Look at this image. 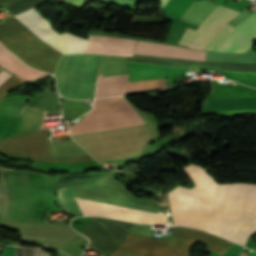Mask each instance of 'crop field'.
<instances>
[{
    "label": "crop field",
    "instance_id": "1",
    "mask_svg": "<svg viewBox=\"0 0 256 256\" xmlns=\"http://www.w3.org/2000/svg\"><path fill=\"white\" fill-rule=\"evenodd\" d=\"M15 17L59 53L85 52L88 40L68 33H55L50 23L33 8L15 15ZM15 17L13 16L0 24V42L33 68L53 74L61 54L46 45Z\"/></svg>",
    "mask_w": 256,
    "mask_h": 256
},
{
    "label": "crop field",
    "instance_id": "2",
    "mask_svg": "<svg viewBox=\"0 0 256 256\" xmlns=\"http://www.w3.org/2000/svg\"><path fill=\"white\" fill-rule=\"evenodd\" d=\"M85 53L132 56L136 41L114 37L88 35ZM102 55H64L57 71L58 91L71 99H91L94 96L96 72Z\"/></svg>",
    "mask_w": 256,
    "mask_h": 256
},
{
    "label": "crop field",
    "instance_id": "3",
    "mask_svg": "<svg viewBox=\"0 0 256 256\" xmlns=\"http://www.w3.org/2000/svg\"><path fill=\"white\" fill-rule=\"evenodd\" d=\"M183 168L196 186L194 189L188 190L179 184L167 195L173 200L187 201L180 208L170 211L173 224L210 232L218 185L199 166L190 164Z\"/></svg>",
    "mask_w": 256,
    "mask_h": 256
},
{
    "label": "crop field",
    "instance_id": "4",
    "mask_svg": "<svg viewBox=\"0 0 256 256\" xmlns=\"http://www.w3.org/2000/svg\"><path fill=\"white\" fill-rule=\"evenodd\" d=\"M198 240L221 255L232 245L203 231L172 227L167 240L124 239L109 256H190V249Z\"/></svg>",
    "mask_w": 256,
    "mask_h": 256
},
{
    "label": "crop field",
    "instance_id": "5",
    "mask_svg": "<svg viewBox=\"0 0 256 256\" xmlns=\"http://www.w3.org/2000/svg\"><path fill=\"white\" fill-rule=\"evenodd\" d=\"M256 232V186H228L220 236L245 245Z\"/></svg>",
    "mask_w": 256,
    "mask_h": 256
},
{
    "label": "crop field",
    "instance_id": "6",
    "mask_svg": "<svg viewBox=\"0 0 256 256\" xmlns=\"http://www.w3.org/2000/svg\"><path fill=\"white\" fill-rule=\"evenodd\" d=\"M0 153L18 160L76 162L93 160L90 156L51 158L50 144L44 130L0 139Z\"/></svg>",
    "mask_w": 256,
    "mask_h": 256
},
{
    "label": "crop field",
    "instance_id": "7",
    "mask_svg": "<svg viewBox=\"0 0 256 256\" xmlns=\"http://www.w3.org/2000/svg\"><path fill=\"white\" fill-rule=\"evenodd\" d=\"M83 215L117 218L139 223L165 224V216L133 208L75 198Z\"/></svg>",
    "mask_w": 256,
    "mask_h": 256
},
{
    "label": "crop field",
    "instance_id": "8",
    "mask_svg": "<svg viewBox=\"0 0 256 256\" xmlns=\"http://www.w3.org/2000/svg\"><path fill=\"white\" fill-rule=\"evenodd\" d=\"M239 12L218 5L209 17L194 31L186 28L179 44L192 49L202 50L205 42L225 23ZM207 43V42H206Z\"/></svg>",
    "mask_w": 256,
    "mask_h": 256
},
{
    "label": "crop field",
    "instance_id": "9",
    "mask_svg": "<svg viewBox=\"0 0 256 256\" xmlns=\"http://www.w3.org/2000/svg\"><path fill=\"white\" fill-rule=\"evenodd\" d=\"M256 41V12L225 36L213 51L244 52Z\"/></svg>",
    "mask_w": 256,
    "mask_h": 256
},
{
    "label": "crop field",
    "instance_id": "10",
    "mask_svg": "<svg viewBox=\"0 0 256 256\" xmlns=\"http://www.w3.org/2000/svg\"><path fill=\"white\" fill-rule=\"evenodd\" d=\"M134 54L204 61L205 52L166 44L138 41Z\"/></svg>",
    "mask_w": 256,
    "mask_h": 256
},
{
    "label": "crop field",
    "instance_id": "11",
    "mask_svg": "<svg viewBox=\"0 0 256 256\" xmlns=\"http://www.w3.org/2000/svg\"><path fill=\"white\" fill-rule=\"evenodd\" d=\"M0 65L5 69L13 72L26 82L44 75H48L25 66L10 52H8L2 45H0Z\"/></svg>",
    "mask_w": 256,
    "mask_h": 256
},
{
    "label": "crop field",
    "instance_id": "12",
    "mask_svg": "<svg viewBox=\"0 0 256 256\" xmlns=\"http://www.w3.org/2000/svg\"><path fill=\"white\" fill-rule=\"evenodd\" d=\"M128 74L98 78L95 98L125 93Z\"/></svg>",
    "mask_w": 256,
    "mask_h": 256
},
{
    "label": "crop field",
    "instance_id": "13",
    "mask_svg": "<svg viewBox=\"0 0 256 256\" xmlns=\"http://www.w3.org/2000/svg\"><path fill=\"white\" fill-rule=\"evenodd\" d=\"M256 108V99L251 98H226L206 99L202 110H223V109H250Z\"/></svg>",
    "mask_w": 256,
    "mask_h": 256
},
{
    "label": "crop field",
    "instance_id": "14",
    "mask_svg": "<svg viewBox=\"0 0 256 256\" xmlns=\"http://www.w3.org/2000/svg\"><path fill=\"white\" fill-rule=\"evenodd\" d=\"M215 7L216 6L214 4L207 0L196 1L192 4L181 20L200 25Z\"/></svg>",
    "mask_w": 256,
    "mask_h": 256
},
{
    "label": "crop field",
    "instance_id": "15",
    "mask_svg": "<svg viewBox=\"0 0 256 256\" xmlns=\"http://www.w3.org/2000/svg\"><path fill=\"white\" fill-rule=\"evenodd\" d=\"M58 200L63 211L73 216H83L68 186L58 189Z\"/></svg>",
    "mask_w": 256,
    "mask_h": 256
},
{
    "label": "crop field",
    "instance_id": "16",
    "mask_svg": "<svg viewBox=\"0 0 256 256\" xmlns=\"http://www.w3.org/2000/svg\"><path fill=\"white\" fill-rule=\"evenodd\" d=\"M46 0H0V6L9 10L12 15L27 10Z\"/></svg>",
    "mask_w": 256,
    "mask_h": 256
},
{
    "label": "crop field",
    "instance_id": "17",
    "mask_svg": "<svg viewBox=\"0 0 256 256\" xmlns=\"http://www.w3.org/2000/svg\"><path fill=\"white\" fill-rule=\"evenodd\" d=\"M227 184H220L213 233L219 236Z\"/></svg>",
    "mask_w": 256,
    "mask_h": 256
},
{
    "label": "crop field",
    "instance_id": "18",
    "mask_svg": "<svg viewBox=\"0 0 256 256\" xmlns=\"http://www.w3.org/2000/svg\"><path fill=\"white\" fill-rule=\"evenodd\" d=\"M164 79L128 83L126 93L165 87Z\"/></svg>",
    "mask_w": 256,
    "mask_h": 256
},
{
    "label": "crop field",
    "instance_id": "19",
    "mask_svg": "<svg viewBox=\"0 0 256 256\" xmlns=\"http://www.w3.org/2000/svg\"><path fill=\"white\" fill-rule=\"evenodd\" d=\"M24 83L26 82L13 74L5 83L0 86V101L8 96L9 92Z\"/></svg>",
    "mask_w": 256,
    "mask_h": 256
},
{
    "label": "crop field",
    "instance_id": "20",
    "mask_svg": "<svg viewBox=\"0 0 256 256\" xmlns=\"http://www.w3.org/2000/svg\"><path fill=\"white\" fill-rule=\"evenodd\" d=\"M192 2L193 0H169L166 5L180 18Z\"/></svg>",
    "mask_w": 256,
    "mask_h": 256
},
{
    "label": "crop field",
    "instance_id": "21",
    "mask_svg": "<svg viewBox=\"0 0 256 256\" xmlns=\"http://www.w3.org/2000/svg\"><path fill=\"white\" fill-rule=\"evenodd\" d=\"M234 27L230 25H225L221 30H219L207 43L205 49L213 50L216 44L227 35Z\"/></svg>",
    "mask_w": 256,
    "mask_h": 256
},
{
    "label": "crop field",
    "instance_id": "22",
    "mask_svg": "<svg viewBox=\"0 0 256 256\" xmlns=\"http://www.w3.org/2000/svg\"><path fill=\"white\" fill-rule=\"evenodd\" d=\"M11 75L7 74L6 72L4 71H1L0 72V85L5 81L7 80Z\"/></svg>",
    "mask_w": 256,
    "mask_h": 256
},
{
    "label": "crop field",
    "instance_id": "23",
    "mask_svg": "<svg viewBox=\"0 0 256 256\" xmlns=\"http://www.w3.org/2000/svg\"><path fill=\"white\" fill-rule=\"evenodd\" d=\"M70 3L76 4L78 6H81L84 2H86L87 0H66Z\"/></svg>",
    "mask_w": 256,
    "mask_h": 256
},
{
    "label": "crop field",
    "instance_id": "24",
    "mask_svg": "<svg viewBox=\"0 0 256 256\" xmlns=\"http://www.w3.org/2000/svg\"><path fill=\"white\" fill-rule=\"evenodd\" d=\"M168 0H159L160 4L162 5V7L164 6V4L167 2Z\"/></svg>",
    "mask_w": 256,
    "mask_h": 256
},
{
    "label": "crop field",
    "instance_id": "25",
    "mask_svg": "<svg viewBox=\"0 0 256 256\" xmlns=\"http://www.w3.org/2000/svg\"><path fill=\"white\" fill-rule=\"evenodd\" d=\"M2 69H4V68H2V67L0 66V71H1Z\"/></svg>",
    "mask_w": 256,
    "mask_h": 256
},
{
    "label": "crop field",
    "instance_id": "26",
    "mask_svg": "<svg viewBox=\"0 0 256 256\" xmlns=\"http://www.w3.org/2000/svg\"><path fill=\"white\" fill-rule=\"evenodd\" d=\"M49 256H51V255L49 254Z\"/></svg>",
    "mask_w": 256,
    "mask_h": 256
},
{
    "label": "crop field",
    "instance_id": "27",
    "mask_svg": "<svg viewBox=\"0 0 256 256\" xmlns=\"http://www.w3.org/2000/svg\"><path fill=\"white\" fill-rule=\"evenodd\" d=\"M255 250H256V248H255Z\"/></svg>",
    "mask_w": 256,
    "mask_h": 256
}]
</instances>
